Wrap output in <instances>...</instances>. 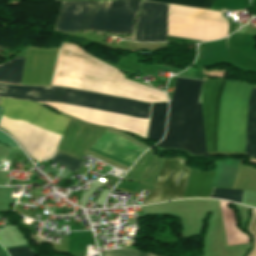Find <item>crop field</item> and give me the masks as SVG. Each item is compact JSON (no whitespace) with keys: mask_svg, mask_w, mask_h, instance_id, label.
<instances>
[{"mask_svg":"<svg viewBox=\"0 0 256 256\" xmlns=\"http://www.w3.org/2000/svg\"><path fill=\"white\" fill-rule=\"evenodd\" d=\"M252 86L205 81L202 108L207 152H245L247 100ZM246 155L256 158V88L248 100Z\"/></svg>","mask_w":256,"mask_h":256,"instance_id":"8a807250","label":"crop field"},{"mask_svg":"<svg viewBox=\"0 0 256 256\" xmlns=\"http://www.w3.org/2000/svg\"><path fill=\"white\" fill-rule=\"evenodd\" d=\"M0 97L31 101L58 102L81 108L147 121L150 104L60 87L16 86L0 83ZM44 103L86 122L127 130L144 136L147 122L81 109L58 103Z\"/></svg>","mask_w":256,"mask_h":256,"instance_id":"ac0d7876","label":"crop field"},{"mask_svg":"<svg viewBox=\"0 0 256 256\" xmlns=\"http://www.w3.org/2000/svg\"><path fill=\"white\" fill-rule=\"evenodd\" d=\"M51 85L66 86L145 102L167 101L165 93L124 78L83 49L62 43Z\"/></svg>","mask_w":256,"mask_h":256,"instance_id":"34b2d1b8","label":"crop field"},{"mask_svg":"<svg viewBox=\"0 0 256 256\" xmlns=\"http://www.w3.org/2000/svg\"><path fill=\"white\" fill-rule=\"evenodd\" d=\"M202 81L177 78L170 102L165 138L161 148H183L191 154L206 155L201 104Z\"/></svg>","mask_w":256,"mask_h":256,"instance_id":"412701ff","label":"crop field"},{"mask_svg":"<svg viewBox=\"0 0 256 256\" xmlns=\"http://www.w3.org/2000/svg\"><path fill=\"white\" fill-rule=\"evenodd\" d=\"M142 0L62 2L55 30L94 29L113 33L134 32Z\"/></svg>","mask_w":256,"mask_h":256,"instance_id":"f4fd0767","label":"crop field"},{"mask_svg":"<svg viewBox=\"0 0 256 256\" xmlns=\"http://www.w3.org/2000/svg\"><path fill=\"white\" fill-rule=\"evenodd\" d=\"M184 164L178 157L166 158L158 178L143 204L183 197L191 170Z\"/></svg>","mask_w":256,"mask_h":256,"instance_id":"dd49c442","label":"crop field"},{"mask_svg":"<svg viewBox=\"0 0 256 256\" xmlns=\"http://www.w3.org/2000/svg\"><path fill=\"white\" fill-rule=\"evenodd\" d=\"M0 107H5L2 115L22 118L61 136L70 119L58 115L35 102L1 98Z\"/></svg>","mask_w":256,"mask_h":256,"instance_id":"e52e79f7","label":"crop field"},{"mask_svg":"<svg viewBox=\"0 0 256 256\" xmlns=\"http://www.w3.org/2000/svg\"><path fill=\"white\" fill-rule=\"evenodd\" d=\"M168 4L143 0L136 41H166Z\"/></svg>","mask_w":256,"mask_h":256,"instance_id":"d8731c3e","label":"crop field"},{"mask_svg":"<svg viewBox=\"0 0 256 256\" xmlns=\"http://www.w3.org/2000/svg\"><path fill=\"white\" fill-rule=\"evenodd\" d=\"M215 172L191 170L185 197H210L213 189Z\"/></svg>","mask_w":256,"mask_h":256,"instance_id":"5a996713","label":"crop field"},{"mask_svg":"<svg viewBox=\"0 0 256 256\" xmlns=\"http://www.w3.org/2000/svg\"><path fill=\"white\" fill-rule=\"evenodd\" d=\"M166 110L167 103L153 104L147 138L162 139L165 129Z\"/></svg>","mask_w":256,"mask_h":256,"instance_id":"3316defc","label":"crop field"},{"mask_svg":"<svg viewBox=\"0 0 256 256\" xmlns=\"http://www.w3.org/2000/svg\"><path fill=\"white\" fill-rule=\"evenodd\" d=\"M23 58L14 57L0 64V82L20 84Z\"/></svg>","mask_w":256,"mask_h":256,"instance_id":"28ad6ade","label":"crop field"},{"mask_svg":"<svg viewBox=\"0 0 256 256\" xmlns=\"http://www.w3.org/2000/svg\"><path fill=\"white\" fill-rule=\"evenodd\" d=\"M56 163L67 166L66 169L76 173L77 170L82 166L83 162L76 159L70 158L63 154L56 152V154L50 159Z\"/></svg>","mask_w":256,"mask_h":256,"instance_id":"d1516ede","label":"crop field"},{"mask_svg":"<svg viewBox=\"0 0 256 256\" xmlns=\"http://www.w3.org/2000/svg\"><path fill=\"white\" fill-rule=\"evenodd\" d=\"M154 1L208 9V7L213 6L216 0H154Z\"/></svg>","mask_w":256,"mask_h":256,"instance_id":"22f410ed","label":"crop field"},{"mask_svg":"<svg viewBox=\"0 0 256 256\" xmlns=\"http://www.w3.org/2000/svg\"><path fill=\"white\" fill-rule=\"evenodd\" d=\"M243 191L215 189L212 198L240 203Z\"/></svg>","mask_w":256,"mask_h":256,"instance_id":"cbeb9de0","label":"crop field"},{"mask_svg":"<svg viewBox=\"0 0 256 256\" xmlns=\"http://www.w3.org/2000/svg\"><path fill=\"white\" fill-rule=\"evenodd\" d=\"M104 256H154L143 251L134 250H104Z\"/></svg>","mask_w":256,"mask_h":256,"instance_id":"5142ce71","label":"crop field"},{"mask_svg":"<svg viewBox=\"0 0 256 256\" xmlns=\"http://www.w3.org/2000/svg\"><path fill=\"white\" fill-rule=\"evenodd\" d=\"M251 213H252V217L247 226V229L253 236L254 248L250 251L248 256H256V210L252 209Z\"/></svg>","mask_w":256,"mask_h":256,"instance_id":"d9b57169","label":"crop field"},{"mask_svg":"<svg viewBox=\"0 0 256 256\" xmlns=\"http://www.w3.org/2000/svg\"><path fill=\"white\" fill-rule=\"evenodd\" d=\"M7 252L10 256H36L29 247L8 249Z\"/></svg>","mask_w":256,"mask_h":256,"instance_id":"733c2abd","label":"crop field"},{"mask_svg":"<svg viewBox=\"0 0 256 256\" xmlns=\"http://www.w3.org/2000/svg\"><path fill=\"white\" fill-rule=\"evenodd\" d=\"M0 142L5 143L12 148L17 147V145L2 132H0Z\"/></svg>","mask_w":256,"mask_h":256,"instance_id":"4a817a6b","label":"crop field"},{"mask_svg":"<svg viewBox=\"0 0 256 256\" xmlns=\"http://www.w3.org/2000/svg\"><path fill=\"white\" fill-rule=\"evenodd\" d=\"M3 109H4V108H0V115H1V113H2V111H3Z\"/></svg>","mask_w":256,"mask_h":256,"instance_id":"bc2a9ffb","label":"crop field"}]
</instances>
